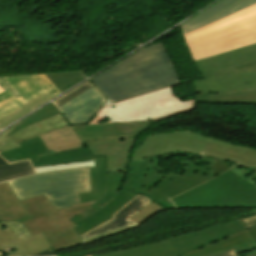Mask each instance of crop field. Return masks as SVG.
Segmentation results:
<instances>
[{
	"label": "crop field",
	"mask_w": 256,
	"mask_h": 256,
	"mask_svg": "<svg viewBox=\"0 0 256 256\" xmlns=\"http://www.w3.org/2000/svg\"><path fill=\"white\" fill-rule=\"evenodd\" d=\"M45 255H55V254H54L53 250L50 249V250H46L44 252H41V253L33 255V256H45Z\"/></svg>",
	"instance_id": "crop-field-36"
},
{
	"label": "crop field",
	"mask_w": 256,
	"mask_h": 256,
	"mask_svg": "<svg viewBox=\"0 0 256 256\" xmlns=\"http://www.w3.org/2000/svg\"><path fill=\"white\" fill-rule=\"evenodd\" d=\"M251 180L256 182V176L255 177H251Z\"/></svg>",
	"instance_id": "crop-field-37"
},
{
	"label": "crop field",
	"mask_w": 256,
	"mask_h": 256,
	"mask_svg": "<svg viewBox=\"0 0 256 256\" xmlns=\"http://www.w3.org/2000/svg\"><path fill=\"white\" fill-rule=\"evenodd\" d=\"M194 63L205 80L194 83L198 93L256 88V44Z\"/></svg>",
	"instance_id": "crop-field-5"
},
{
	"label": "crop field",
	"mask_w": 256,
	"mask_h": 256,
	"mask_svg": "<svg viewBox=\"0 0 256 256\" xmlns=\"http://www.w3.org/2000/svg\"><path fill=\"white\" fill-rule=\"evenodd\" d=\"M202 156L235 162L240 166L256 164V149L212 138L209 139Z\"/></svg>",
	"instance_id": "crop-field-18"
},
{
	"label": "crop field",
	"mask_w": 256,
	"mask_h": 256,
	"mask_svg": "<svg viewBox=\"0 0 256 256\" xmlns=\"http://www.w3.org/2000/svg\"><path fill=\"white\" fill-rule=\"evenodd\" d=\"M193 61L256 43V3L182 33Z\"/></svg>",
	"instance_id": "crop-field-4"
},
{
	"label": "crop field",
	"mask_w": 256,
	"mask_h": 256,
	"mask_svg": "<svg viewBox=\"0 0 256 256\" xmlns=\"http://www.w3.org/2000/svg\"><path fill=\"white\" fill-rule=\"evenodd\" d=\"M41 138L51 154L85 146L70 125L41 135Z\"/></svg>",
	"instance_id": "crop-field-20"
},
{
	"label": "crop field",
	"mask_w": 256,
	"mask_h": 256,
	"mask_svg": "<svg viewBox=\"0 0 256 256\" xmlns=\"http://www.w3.org/2000/svg\"><path fill=\"white\" fill-rule=\"evenodd\" d=\"M60 113L56 107L52 104L40 109L39 111L35 112L34 114H32L31 116L27 117L26 119H24L21 123H19L16 128L9 133L7 136H11L13 133H15L16 131H18L19 129L28 126L30 124L39 122L41 120H44L48 117H51L53 115H56Z\"/></svg>",
	"instance_id": "crop-field-25"
},
{
	"label": "crop field",
	"mask_w": 256,
	"mask_h": 256,
	"mask_svg": "<svg viewBox=\"0 0 256 256\" xmlns=\"http://www.w3.org/2000/svg\"><path fill=\"white\" fill-rule=\"evenodd\" d=\"M65 125H68V122L60 113L25 127L8 138L6 135L14 129L12 127L0 135V155L11 162L30 158L34 167L95 160L96 191L105 192V157L93 158L87 147L52 155L46 149L39 135Z\"/></svg>",
	"instance_id": "crop-field-3"
},
{
	"label": "crop field",
	"mask_w": 256,
	"mask_h": 256,
	"mask_svg": "<svg viewBox=\"0 0 256 256\" xmlns=\"http://www.w3.org/2000/svg\"><path fill=\"white\" fill-rule=\"evenodd\" d=\"M84 166L94 167V161L63 164L58 166H45V167H38L35 169H36V172L39 173V172L50 171V170L67 169V168L84 167Z\"/></svg>",
	"instance_id": "crop-field-29"
},
{
	"label": "crop field",
	"mask_w": 256,
	"mask_h": 256,
	"mask_svg": "<svg viewBox=\"0 0 256 256\" xmlns=\"http://www.w3.org/2000/svg\"><path fill=\"white\" fill-rule=\"evenodd\" d=\"M242 168L249 175V177L256 175V165H254V166H244Z\"/></svg>",
	"instance_id": "crop-field-35"
},
{
	"label": "crop field",
	"mask_w": 256,
	"mask_h": 256,
	"mask_svg": "<svg viewBox=\"0 0 256 256\" xmlns=\"http://www.w3.org/2000/svg\"><path fill=\"white\" fill-rule=\"evenodd\" d=\"M243 230L242 223L236 220L156 242L90 256H178Z\"/></svg>",
	"instance_id": "crop-field-11"
},
{
	"label": "crop field",
	"mask_w": 256,
	"mask_h": 256,
	"mask_svg": "<svg viewBox=\"0 0 256 256\" xmlns=\"http://www.w3.org/2000/svg\"><path fill=\"white\" fill-rule=\"evenodd\" d=\"M19 202L51 244L55 253L83 244L74 229L77 226L70 220L95 202L77 204L59 210H56L44 195Z\"/></svg>",
	"instance_id": "crop-field-10"
},
{
	"label": "crop field",
	"mask_w": 256,
	"mask_h": 256,
	"mask_svg": "<svg viewBox=\"0 0 256 256\" xmlns=\"http://www.w3.org/2000/svg\"><path fill=\"white\" fill-rule=\"evenodd\" d=\"M248 233V232H247ZM246 233V231L237 233L233 236H230L224 240L218 241L212 245L205 246L199 250L192 251L186 255L182 256H205L209 255L211 253L221 251L224 249H228L240 244L252 242V239L249 237V235Z\"/></svg>",
	"instance_id": "crop-field-22"
},
{
	"label": "crop field",
	"mask_w": 256,
	"mask_h": 256,
	"mask_svg": "<svg viewBox=\"0 0 256 256\" xmlns=\"http://www.w3.org/2000/svg\"><path fill=\"white\" fill-rule=\"evenodd\" d=\"M209 256H239V254H238L236 247H234V248L222 251V252L214 253ZM249 256H256V255H249Z\"/></svg>",
	"instance_id": "crop-field-32"
},
{
	"label": "crop field",
	"mask_w": 256,
	"mask_h": 256,
	"mask_svg": "<svg viewBox=\"0 0 256 256\" xmlns=\"http://www.w3.org/2000/svg\"><path fill=\"white\" fill-rule=\"evenodd\" d=\"M49 80L61 91H65L74 86L84 78L83 73H62V74H47Z\"/></svg>",
	"instance_id": "crop-field-24"
},
{
	"label": "crop field",
	"mask_w": 256,
	"mask_h": 256,
	"mask_svg": "<svg viewBox=\"0 0 256 256\" xmlns=\"http://www.w3.org/2000/svg\"><path fill=\"white\" fill-rule=\"evenodd\" d=\"M35 173L30 159L9 164L0 156V182Z\"/></svg>",
	"instance_id": "crop-field-23"
},
{
	"label": "crop field",
	"mask_w": 256,
	"mask_h": 256,
	"mask_svg": "<svg viewBox=\"0 0 256 256\" xmlns=\"http://www.w3.org/2000/svg\"><path fill=\"white\" fill-rule=\"evenodd\" d=\"M8 183L20 200L45 194L56 209L70 207L81 203L78 193L90 192L89 167L45 172Z\"/></svg>",
	"instance_id": "crop-field-8"
},
{
	"label": "crop field",
	"mask_w": 256,
	"mask_h": 256,
	"mask_svg": "<svg viewBox=\"0 0 256 256\" xmlns=\"http://www.w3.org/2000/svg\"><path fill=\"white\" fill-rule=\"evenodd\" d=\"M246 229L256 226V213L255 216L241 219Z\"/></svg>",
	"instance_id": "crop-field-33"
},
{
	"label": "crop field",
	"mask_w": 256,
	"mask_h": 256,
	"mask_svg": "<svg viewBox=\"0 0 256 256\" xmlns=\"http://www.w3.org/2000/svg\"><path fill=\"white\" fill-rule=\"evenodd\" d=\"M90 179L91 193L79 194L81 202L99 201L72 220L78 226L75 229L79 236L111 219L113 214L137 196L128 192L134 176L107 174L106 193L95 192L93 167H90Z\"/></svg>",
	"instance_id": "crop-field-12"
},
{
	"label": "crop field",
	"mask_w": 256,
	"mask_h": 256,
	"mask_svg": "<svg viewBox=\"0 0 256 256\" xmlns=\"http://www.w3.org/2000/svg\"><path fill=\"white\" fill-rule=\"evenodd\" d=\"M30 217L17 201L7 182L0 184V250L7 256H31L51 248L42 234L19 242L7 222H23Z\"/></svg>",
	"instance_id": "crop-field-13"
},
{
	"label": "crop field",
	"mask_w": 256,
	"mask_h": 256,
	"mask_svg": "<svg viewBox=\"0 0 256 256\" xmlns=\"http://www.w3.org/2000/svg\"><path fill=\"white\" fill-rule=\"evenodd\" d=\"M197 102L255 103L256 89L234 93L197 94Z\"/></svg>",
	"instance_id": "crop-field-21"
},
{
	"label": "crop field",
	"mask_w": 256,
	"mask_h": 256,
	"mask_svg": "<svg viewBox=\"0 0 256 256\" xmlns=\"http://www.w3.org/2000/svg\"><path fill=\"white\" fill-rule=\"evenodd\" d=\"M91 79L112 102L181 82L162 42L138 50Z\"/></svg>",
	"instance_id": "crop-field-1"
},
{
	"label": "crop field",
	"mask_w": 256,
	"mask_h": 256,
	"mask_svg": "<svg viewBox=\"0 0 256 256\" xmlns=\"http://www.w3.org/2000/svg\"><path fill=\"white\" fill-rule=\"evenodd\" d=\"M45 98H47V96H45L44 94L35 98L34 100L24 104L26 107L1 119L0 120V128H4L5 126L9 125L10 123H12L13 121L17 120L18 118H20L21 116L27 114L28 112L32 111V109L34 107H36L38 104H40Z\"/></svg>",
	"instance_id": "crop-field-26"
},
{
	"label": "crop field",
	"mask_w": 256,
	"mask_h": 256,
	"mask_svg": "<svg viewBox=\"0 0 256 256\" xmlns=\"http://www.w3.org/2000/svg\"><path fill=\"white\" fill-rule=\"evenodd\" d=\"M5 79L22 97L17 99L9 90L4 91L0 88V119L25 107L24 103L43 93L49 98L41 104L61 94L45 75L6 77Z\"/></svg>",
	"instance_id": "crop-field-15"
},
{
	"label": "crop field",
	"mask_w": 256,
	"mask_h": 256,
	"mask_svg": "<svg viewBox=\"0 0 256 256\" xmlns=\"http://www.w3.org/2000/svg\"><path fill=\"white\" fill-rule=\"evenodd\" d=\"M173 86L112 104L107 101L87 124L157 121L195 109L196 99L181 101Z\"/></svg>",
	"instance_id": "crop-field-6"
},
{
	"label": "crop field",
	"mask_w": 256,
	"mask_h": 256,
	"mask_svg": "<svg viewBox=\"0 0 256 256\" xmlns=\"http://www.w3.org/2000/svg\"><path fill=\"white\" fill-rule=\"evenodd\" d=\"M176 208L253 207L256 208V183L240 166L171 199Z\"/></svg>",
	"instance_id": "crop-field-7"
},
{
	"label": "crop field",
	"mask_w": 256,
	"mask_h": 256,
	"mask_svg": "<svg viewBox=\"0 0 256 256\" xmlns=\"http://www.w3.org/2000/svg\"><path fill=\"white\" fill-rule=\"evenodd\" d=\"M182 155L194 158L193 162H181L175 159L182 170L179 174H167L158 164L162 158ZM235 163L211 158L193 156L183 153L164 155L149 161L135 162L130 160L129 174L137 176L130 192L145 195L167 209L175 208L169 198L188 191L224 172Z\"/></svg>",
	"instance_id": "crop-field-2"
},
{
	"label": "crop field",
	"mask_w": 256,
	"mask_h": 256,
	"mask_svg": "<svg viewBox=\"0 0 256 256\" xmlns=\"http://www.w3.org/2000/svg\"><path fill=\"white\" fill-rule=\"evenodd\" d=\"M107 100L95 86L58 108L71 125L86 124Z\"/></svg>",
	"instance_id": "crop-field-17"
},
{
	"label": "crop field",
	"mask_w": 256,
	"mask_h": 256,
	"mask_svg": "<svg viewBox=\"0 0 256 256\" xmlns=\"http://www.w3.org/2000/svg\"><path fill=\"white\" fill-rule=\"evenodd\" d=\"M254 2H256V0H221L181 24L182 32L189 31Z\"/></svg>",
	"instance_id": "crop-field-19"
},
{
	"label": "crop field",
	"mask_w": 256,
	"mask_h": 256,
	"mask_svg": "<svg viewBox=\"0 0 256 256\" xmlns=\"http://www.w3.org/2000/svg\"><path fill=\"white\" fill-rule=\"evenodd\" d=\"M9 225L19 241L30 237L29 233L26 231L21 223H9Z\"/></svg>",
	"instance_id": "crop-field-31"
},
{
	"label": "crop field",
	"mask_w": 256,
	"mask_h": 256,
	"mask_svg": "<svg viewBox=\"0 0 256 256\" xmlns=\"http://www.w3.org/2000/svg\"><path fill=\"white\" fill-rule=\"evenodd\" d=\"M254 242L237 246L241 256L256 253V227L246 230Z\"/></svg>",
	"instance_id": "crop-field-28"
},
{
	"label": "crop field",
	"mask_w": 256,
	"mask_h": 256,
	"mask_svg": "<svg viewBox=\"0 0 256 256\" xmlns=\"http://www.w3.org/2000/svg\"><path fill=\"white\" fill-rule=\"evenodd\" d=\"M208 137L188 131L156 133L146 137L142 146H137L133 160L144 161L164 154L183 152L202 155Z\"/></svg>",
	"instance_id": "crop-field-14"
},
{
	"label": "crop field",
	"mask_w": 256,
	"mask_h": 256,
	"mask_svg": "<svg viewBox=\"0 0 256 256\" xmlns=\"http://www.w3.org/2000/svg\"><path fill=\"white\" fill-rule=\"evenodd\" d=\"M95 86L90 80L87 81L84 85L80 86L79 88L75 89L74 91L68 93L67 95L63 96L62 98L56 100L54 103L56 104V106H60L64 103H66L67 101H69L71 98H73L74 96H76L77 94L91 88Z\"/></svg>",
	"instance_id": "crop-field-30"
},
{
	"label": "crop field",
	"mask_w": 256,
	"mask_h": 256,
	"mask_svg": "<svg viewBox=\"0 0 256 256\" xmlns=\"http://www.w3.org/2000/svg\"><path fill=\"white\" fill-rule=\"evenodd\" d=\"M151 201L152 200L144 196L138 195L115 215H113V219L81 236L82 239L85 243H87L139 226L129 218Z\"/></svg>",
	"instance_id": "crop-field-16"
},
{
	"label": "crop field",
	"mask_w": 256,
	"mask_h": 256,
	"mask_svg": "<svg viewBox=\"0 0 256 256\" xmlns=\"http://www.w3.org/2000/svg\"><path fill=\"white\" fill-rule=\"evenodd\" d=\"M163 210H165L164 207H162V206H160L157 203L152 201L149 205H147L145 208L140 210L138 213H136L130 219H132L136 223L140 224L141 222L150 218L152 215H154V214H156L160 211H163Z\"/></svg>",
	"instance_id": "crop-field-27"
},
{
	"label": "crop field",
	"mask_w": 256,
	"mask_h": 256,
	"mask_svg": "<svg viewBox=\"0 0 256 256\" xmlns=\"http://www.w3.org/2000/svg\"><path fill=\"white\" fill-rule=\"evenodd\" d=\"M0 87L4 90L9 89L17 98L20 97L13 87L3 78H0Z\"/></svg>",
	"instance_id": "crop-field-34"
},
{
	"label": "crop field",
	"mask_w": 256,
	"mask_h": 256,
	"mask_svg": "<svg viewBox=\"0 0 256 256\" xmlns=\"http://www.w3.org/2000/svg\"><path fill=\"white\" fill-rule=\"evenodd\" d=\"M155 122L72 126L94 157L106 156L107 173H126L132 143L139 132ZM113 143V145H111Z\"/></svg>",
	"instance_id": "crop-field-9"
}]
</instances>
